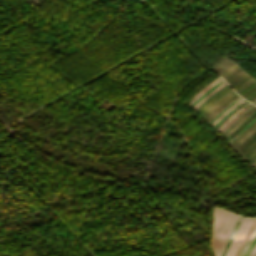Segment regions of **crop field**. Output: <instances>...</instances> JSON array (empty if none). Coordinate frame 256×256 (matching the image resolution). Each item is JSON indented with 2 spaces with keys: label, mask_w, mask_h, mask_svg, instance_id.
I'll return each mask as SVG.
<instances>
[{
  "label": "crop field",
  "mask_w": 256,
  "mask_h": 256,
  "mask_svg": "<svg viewBox=\"0 0 256 256\" xmlns=\"http://www.w3.org/2000/svg\"><path fill=\"white\" fill-rule=\"evenodd\" d=\"M235 98H236V97H235ZM235 98H234V99H235ZM234 99H232V100H234ZM232 100H231V101H232ZM231 101H230V102H231ZM230 102H229V103H230ZM226 105H227V104H226ZM226 105H225V106H226ZM225 106H224V107H225ZM224 107H223V108H224ZM223 108H222V109H223ZM219 111H220V110H219ZM219 111H218V112H219ZM218 112H217V113H218ZM214 115H215V114H214ZM214 115H213V116H214ZM213 116H212V117H213ZM212 117H211V118H212ZM211 118H210V119H211ZM210 119H209V120H210ZM209 120H208V121H209ZM208 121H207V122H208Z\"/></svg>",
  "instance_id": "crop-field-25"
},
{
  "label": "crop field",
  "mask_w": 256,
  "mask_h": 256,
  "mask_svg": "<svg viewBox=\"0 0 256 256\" xmlns=\"http://www.w3.org/2000/svg\"><path fill=\"white\" fill-rule=\"evenodd\" d=\"M254 90H256V86L253 87L251 90H249L247 93H245L242 97H246L247 95H249L250 93H252Z\"/></svg>",
  "instance_id": "crop-field-19"
},
{
  "label": "crop field",
  "mask_w": 256,
  "mask_h": 256,
  "mask_svg": "<svg viewBox=\"0 0 256 256\" xmlns=\"http://www.w3.org/2000/svg\"><path fill=\"white\" fill-rule=\"evenodd\" d=\"M256 154V151L255 153L247 160L248 162L251 160V158Z\"/></svg>",
  "instance_id": "crop-field-26"
},
{
  "label": "crop field",
  "mask_w": 256,
  "mask_h": 256,
  "mask_svg": "<svg viewBox=\"0 0 256 256\" xmlns=\"http://www.w3.org/2000/svg\"><path fill=\"white\" fill-rule=\"evenodd\" d=\"M254 85H256V81H254L252 84H250L248 87H246L244 90H242L240 93L238 94H243L244 92H246L247 90H249L251 87H253Z\"/></svg>",
  "instance_id": "crop-field-16"
},
{
  "label": "crop field",
  "mask_w": 256,
  "mask_h": 256,
  "mask_svg": "<svg viewBox=\"0 0 256 256\" xmlns=\"http://www.w3.org/2000/svg\"><path fill=\"white\" fill-rule=\"evenodd\" d=\"M255 122H256V121H255ZM255 122H254V123H255ZM252 124H253V123H252ZM252 124H251V125H252ZM251 125H250V126H251ZM250 126H249V127H250ZM249 127H248V128H249ZM248 128H247V129H248ZM247 129H246V130H247ZM246 130H245V131H246ZM245 131H244V132H245ZM244 132H243V133H244ZM243 133H242V134H243ZM242 134H241V135H242ZM241 135H240V136H241ZM240 136H239V137H240ZM237 137H238V136H237ZM237 137H236V138H237ZM239 137H238V138H239ZM238 138H237V139H238ZM235 140H236V139H235ZM235 140H234V141H235ZM234 141H233V142H234ZM233 142H232V143H233ZM232 143H231V144H232Z\"/></svg>",
  "instance_id": "crop-field-24"
},
{
  "label": "crop field",
  "mask_w": 256,
  "mask_h": 256,
  "mask_svg": "<svg viewBox=\"0 0 256 256\" xmlns=\"http://www.w3.org/2000/svg\"><path fill=\"white\" fill-rule=\"evenodd\" d=\"M255 157H256V155L253 157V159H254ZM253 159H252V160H253ZM252 160H251V161H252ZM251 161H250V162H251ZM250 162H249V163H250Z\"/></svg>",
  "instance_id": "crop-field-28"
},
{
  "label": "crop field",
  "mask_w": 256,
  "mask_h": 256,
  "mask_svg": "<svg viewBox=\"0 0 256 256\" xmlns=\"http://www.w3.org/2000/svg\"><path fill=\"white\" fill-rule=\"evenodd\" d=\"M252 136H253V135H252ZM254 136H256V134H255ZM254 136H253V137H254ZM253 137H252V138H253ZM252 138H250L243 146H245ZM254 138H255V137H254ZM254 138H253V139H254ZM253 139H252V140H253ZM255 139H256V138H255ZM255 139H254V140H255ZM246 140H247V139H246ZM246 140H245V141H246ZM252 140H251V141H252ZM254 140H253V141H254ZM245 141H244V142H245ZM251 141H250V142H251ZM253 141H252V142H253ZM244 142H243V143H244ZM250 142H249V143H250ZM252 142H251V143H252ZM243 143H242V144H243ZM249 143H248V144H249ZM251 143H250V144H251ZM255 143H256V140H255L251 145L249 144L250 146L247 144V145L249 146V147H248V146L246 145V146L248 147L247 149H245L246 147L244 148V147L241 145V146L245 149V150H244V149L240 146V147L244 150V151H243V150L239 147V148L243 151V152H242V151L238 148L242 153H241L238 149H237V150L243 155V154H244L253 144H255ZM255 147H256V144L251 148V150L249 149L250 151L248 150L249 152L247 151L248 153L246 152L247 154L245 153L246 155L244 154L245 156L243 155L244 158H245ZM255 150H256V148H255L246 158L248 159V158L250 157V155H251Z\"/></svg>",
  "instance_id": "crop-field-6"
},
{
  "label": "crop field",
  "mask_w": 256,
  "mask_h": 256,
  "mask_svg": "<svg viewBox=\"0 0 256 256\" xmlns=\"http://www.w3.org/2000/svg\"><path fill=\"white\" fill-rule=\"evenodd\" d=\"M255 108H256V107H255ZM255 108H254V109H255ZM254 109H252V110H254ZM252 110H251V111H252ZM251 111H250V112H251ZM250 112H248V113H250ZM248 113H247V114H248ZM247 114H246V115H247ZM246 115H245V116H246ZM245 116H244V117H245ZM244 117H243V118H244ZM243 118H242V119H243ZM242 119H241V120H242ZM241 120H239V121L226 133V135H227Z\"/></svg>",
  "instance_id": "crop-field-20"
},
{
  "label": "crop field",
  "mask_w": 256,
  "mask_h": 256,
  "mask_svg": "<svg viewBox=\"0 0 256 256\" xmlns=\"http://www.w3.org/2000/svg\"><path fill=\"white\" fill-rule=\"evenodd\" d=\"M238 216L215 207L212 248L215 256H220L229 233Z\"/></svg>",
  "instance_id": "crop-field-1"
},
{
  "label": "crop field",
  "mask_w": 256,
  "mask_h": 256,
  "mask_svg": "<svg viewBox=\"0 0 256 256\" xmlns=\"http://www.w3.org/2000/svg\"><path fill=\"white\" fill-rule=\"evenodd\" d=\"M256 160V158L251 162V164Z\"/></svg>",
  "instance_id": "crop-field-29"
},
{
  "label": "crop field",
  "mask_w": 256,
  "mask_h": 256,
  "mask_svg": "<svg viewBox=\"0 0 256 256\" xmlns=\"http://www.w3.org/2000/svg\"><path fill=\"white\" fill-rule=\"evenodd\" d=\"M247 103V101L242 104L238 109H236L234 112H232L229 116H227L217 127L216 129H218L221 125H223L236 111H238L243 105H245Z\"/></svg>",
  "instance_id": "crop-field-11"
},
{
  "label": "crop field",
  "mask_w": 256,
  "mask_h": 256,
  "mask_svg": "<svg viewBox=\"0 0 256 256\" xmlns=\"http://www.w3.org/2000/svg\"><path fill=\"white\" fill-rule=\"evenodd\" d=\"M241 219H242V217L239 216L238 219H237V221H236V223H235V225H234V227H233V229H232V231H231V233H230L231 236L228 238V240H227V242H226V245H225V247H224V249H223V251H222L221 256H224V255H225V252H226V250H227V248H228V246H229V244H230V242H231V240H232V238H233V236H234V233H235V231H236V229H237V227H238V225H239Z\"/></svg>",
  "instance_id": "crop-field-7"
},
{
  "label": "crop field",
  "mask_w": 256,
  "mask_h": 256,
  "mask_svg": "<svg viewBox=\"0 0 256 256\" xmlns=\"http://www.w3.org/2000/svg\"><path fill=\"white\" fill-rule=\"evenodd\" d=\"M240 69H241V68H240ZM237 71H238V70H237ZM237 71H236V72H237ZM233 74H234V73H233ZM233 74H232V75H233ZM234 75H235V74H234ZM229 77H230V76H229ZM229 77H228V78H229ZM233 77H234V76H233ZM233 77H232V78H233ZM230 78H231V77H230ZM230 78H229V79H230ZM232 78H231V79H232ZM225 80H226V79H225ZM226 81H227V80H226ZM228 81H229V80H228ZM228 81H227V82H228Z\"/></svg>",
  "instance_id": "crop-field-27"
},
{
  "label": "crop field",
  "mask_w": 256,
  "mask_h": 256,
  "mask_svg": "<svg viewBox=\"0 0 256 256\" xmlns=\"http://www.w3.org/2000/svg\"><path fill=\"white\" fill-rule=\"evenodd\" d=\"M235 96H237V94H236ZM235 96H234V97H235ZM234 97H232V98H234ZM232 98H231V99H232ZM231 99H230V100H231ZM230 100H229V101H230ZM229 101H227V102H229ZM227 102H226V103H227ZM226 103H225V104H226ZM225 104H223L220 108H222ZM220 108H219V109H220ZM219 109H217L215 112H217ZM215 112H214V113H215ZM214 113H212L209 117H211ZM209 117H208V118H209ZM208 118H206L205 120H207Z\"/></svg>",
  "instance_id": "crop-field-21"
},
{
  "label": "crop field",
  "mask_w": 256,
  "mask_h": 256,
  "mask_svg": "<svg viewBox=\"0 0 256 256\" xmlns=\"http://www.w3.org/2000/svg\"><path fill=\"white\" fill-rule=\"evenodd\" d=\"M256 94V91H254L252 94H250L249 96H247L245 99H249V98H251L253 95H255ZM256 98V95L255 96H253L251 99H249L248 101H252V100H254Z\"/></svg>",
  "instance_id": "crop-field-17"
},
{
  "label": "crop field",
  "mask_w": 256,
  "mask_h": 256,
  "mask_svg": "<svg viewBox=\"0 0 256 256\" xmlns=\"http://www.w3.org/2000/svg\"><path fill=\"white\" fill-rule=\"evenodd\" d=\"M222 89H223V88H222ZM220 90H221V89H220ZM220 90H219V91H220ZM219 91H218V92H219ZM218 92H216L214 95H216ZM214 95H213V96H214ZM213 96H211L208 100H210ZM208 100H206L203 104H205ZM203 104H202V105H203ZM202 105H201V106H202Z\"/></svg>",
  "instance_id": "crop-field-23"
},
{
  "label": "crop field",
  "mask_w": 256,
  "mask_h": 256,
  "mask_svg": "<svg viewBox=\"0 0 256 256\" xmlns=\"http://www.w3.org/2000/svg\"><path fill=\"white\" fill-rule=\"evenodd\" d=\"M249 256H256V246L254 247Z\"/></svg>",
  "instance_id": "crop-field-22"
},
{
  "label": "crop field",
  "mask_w": 256,
  "mask_h": 256,
  "mask_svg": "<svg viewBox=\"0 0 256 256\" xmlns=\"http://www.w3.org/2000/svg\"><path fill=\"white\" fill-rule=\"evenodd\" d=\"M247 220H248V218H245V217L243 218V220H242V222H241V224H240V226H239V228H238V230H237V232H236V234H235V236H234V238H233L225 256H229L231 251L234 249V247H235V245H236V243H237V241H238V239L241 235V232H242Z\"/></svg>",
  "instance_id": "crop-field-4"
},
{
  "label": "crop field",
  "mask_w": 256,
  "mask_h": 256,
  "mask_svg": "<svg viewBox=\"0 0 256 256\" xmlns=\"http://www.w3.org/2000/svg\"><path fill=\"white\" fill-rule=\"evenodd\" d=\"M237 64L233 63L232 65H230L227 69H225L221 74H219V76H223L225 75L229 70H231L234 66H236Z\"/></svg>",
  "instance_id": "crop-field-14"
},
{
  "label": "crop field",
  "mask_w": 256,
  "mask_h": 256,
  "mask_svg": "<svg viewBox=\"0 0 256 256\" xmlns=\"http://www.w3.org/2000/svg\"><path fill=\"white\" fill-rule=\"evenodd\" d=\"M239 68V66L237 65L236 67H234L230 72H228L225 76H223L222 78H226V77H228L231 73H233L236 69H238Z\"/></svg>",
  "instance_id": "crop-field-18"
},
{
  "label": "crop field",
  "mask_w": 256,
  "mask_h": 256,
  "mask_svg": "<svg viewBox=\"0 0 256 256\" xmlns=\"http://www.w3.org/2000/svg\"><path fill=\"white\" fill-rule=\"evenodd\" d=\"M248 74L243 70L242 72H240L237 76H235L231 81H229V85L230 86H235L238 82H240L245 76H247ZM252 77L250 75H248L246 78H244L240 83H238L235 87H233L235 90L237 88H239L241 85H243L245 82H247L249 79H251Z\"/></svg>",
  "instance_id": "crop-field-3"
},
{
  "label": "crop field",
  "mask_w": 256,
  "mask_h": 256,
  "mask_svg": "<svg viewBox=\"0 0 256 256\" xmlns=\"http://www.w3.org/2000/svg\"><path fill=\"white\" fill-rule=\"evenodd\" d=\"M256 131V123L250 127L237 141H235L232 146L235 149L238 145H240L247 137H249L253 132Z\"/></svg>",
  "instance_id": "crop-field-5"
},
{
  "label": "crop field",
  "mask_w": 256,
  "mask_h": 256,
  "mask_svg": "<svg viewBox=\"0 0 256 256\" xmlns=\"http://www.w3.org/2000/svg\"><path fill=\"white\" fill-rule=\"evenodd\" d=\"M255 166H256V164H255Z\"/></svg>",
  "instance_id": "crop-field-30"
},
{
  "label": "crop field",
  "mask_w": 256,
  "mask_h": 256,
  "mask_svg": "<svg viewBox=\"0 0 256 256\" xmlns=\"http://www.w3.org/2000/svg\"><path fill=\"white\" fill-rule=\"evenodd\" d=\"M253 221H254L253 218H250V219H249V221H248V223H247V225H246V227H245V229H244V231H243V233H242V235H241V238H240V240H239L237 246L235 247L233 253L231 254V256L234 255L235 251L237 250L238 246L240 245V243L242 242L243 238L245 237L247 231L249 230L250 226L252 225Z\"/></svg>",
  "instance_id": "crop-field-8"
},
{
  "label": "crop field",
  "mask_w": 256,
  "mask_h": 256,
  "mask_svg": "<svg viewBox=\"0 0 256 256\" xmlns=\"http://www.w3.org/2000/svg\"><path fill=\"white\" fill-rule=\"evenodd\" d=\"M231 90L232 89L229 86L225 87L222 91H220L215 97H213L210 101H208L205 105H203L197 111L201 114ZM235 94L236 93L232 90L227 95H225L222 99H220L217 103L211 106L208 110L202 113L201 116L205 119L208 115L214 112L217 108H219L223 103H225L228 99H230Z\"/></svg>",
  "instance_id": "crop-field-2"
},
{
  "label": "crop field",
  "mask_w": 256,
  "mask_h": 256,
  "mask_svg": "<svg viewBox=\"0 0 256 256\" xmlns=\"http://www.w3.org/2000/svg\"><path fill=\"white\" fill-rule=\"evenodd\" d=\"M256 244V238L255 240L253 241V243L250 245V247L248 248V250L246 251L245 255L244 256H248V254L250 253V251L253 249V247L255 246Z\"/></svg>",
  "instance_id": "crop-field-15"
},
{
  "label": "crop field",
  "mask_w": 256,
  "mask_h": 256,
  "mask_svg": "<svg viewBox=\"0 0 256 256\" xmlns=\"http://www.w3.org/2000/svg\"><path fill=\"white\" fill-rule=\"evenodd\" d=\"M255 79L249 80L247 83H245L243 86H241L239 89L236 90V92H240L242 89H244L246 86H248L250 83H252Z\"/></svg>",
  "instance_id": "crop-field-13"
},
{
  "label": "crop field",
  "mask_w": 256,
  "mask_h": 256,
  "mask_svg": "<svg viewBox=\"0 0 256 256\" xmlns=\"http://www.w3.org/2000/svg\"><path fill=\"white\" fill-rule=\"evenodd\" d=\"M256 111V109L253 111V112H251L250 114H248L229 134H228V136L238 127V126H240L251 114H253L254 112Z\"/></svg>",
  "instance_id": "crop-field-12"
},
{
  "label": "crop field",
  "mask_w": 256,
  "mask_h": 256,
  "mask_svg": "<svg viewBox=\"0 0 256 256\" xmlns=\"http://www.w3.org/2000/svg\"><path fill=\"white\" fill-rule=\"evenodd\" d=\"M256 236V228H255V230L253 231V233L251 234V236L249 237V239H248V241H247V243H246V245H245V247H244V249L242 250V252H241V254H240V256H242L244 253H245V251L247 250V248L249 247V245H250V243L252 242V240L254 239V237ZM239 256V255H238Z\"/></svg>",
  "instance_id": "crop-field-9"
},
{
  "label": "crop field",
  "mask_w": 256,
  "mask_h": 256,
  "mask_svg": "<svg viewBox=\"0 0 256 256\" xmlns=\"http://www.w3.org/2000/svg\"><path fill=\"white\" fill-rule=\"evenodd\" d=\"M255 115H256V112H255L253 115H251L239 128H241L243 125H245V124H246L252 117H254ZM255 117H256V116H255ZM255 117H254V118H255ZM254 118H252L250 121H252ZM250 121H249V122H250ZM249 122H248V123H249ZM248 123H247V124H248ZM247 124H246V125H247ZM246 125H245V126H246ZM245 126H243L242 128H244ZM239 128H237V129L229 136V138H230ZM242 128H241V129H242ZM241 129H239V130L229 139V141H230Z\"/></svg>",
  "instance_id": "crop-field-10"
}]
</instances>
